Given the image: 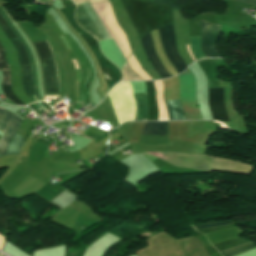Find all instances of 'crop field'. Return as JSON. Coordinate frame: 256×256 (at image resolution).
I'll return each mask as SVG.
<instances>
[{
	"mask_svg": "<svg viewBox=\"0 0 256 256\" xmlns=\"http://www.w3.org/2000/svg\"><path fill=\"white\" fill-rule=\"evenodd\" d=\"M118 123L134 120L136 104L132 96L131 82H120L108 93Z\"/></svg>",
	"mask_w": 256,
	"mask_h": 256,
	"instance_id": "obj_1",
	"label": "crop field"
},
{
	"mask_svg": "<svg viewBox=\"0 0 256 256\" xmlns=\"http://www.w3.org/2000/svg\"><path fill=\"white\" fill-rule=\"evenodd\" d=\"M180 85L181 102L187 120H201L195 100V78L189 70L178 77Z\"/></svg>",
	"mask_w": 256,
	"mask_h": 256,
	"instance_id": "obj_2",
	"label": "crop field"
},
{
	"mask_svg": "<svg viewBox=\"0 0 256 256\" xmlns=\"http://www.w3.org/2000/svg\"><path fill=\"white\" fill-rule=\"evenodd\" d=\"M82 6L86 10L90 18L92 19L93 23L95 24V26L97 27L101 35L103 36L104 40L111 39L110 34L108 33V31L106 30V28L104 27L100 19L98 18L97 14L95 13L91 5L87 2L82 4ZM82 6L80 4V5H77L76 7V13H75L76 22L83 29L91 33L98 41H102L103 40L102 36L98 32V30L96 29V27L94 26V24L92 23V21L90 20L89 16L87 15V13L85 12Z\"/></svg>",
	"mask_w": 256,
	"mask_h": 256,
	"instance_id": "obj_3",
	"label": "crop field"
},
{
	"mask_svg": "<svg viewBox=\"0 0 256 256\" xmlns=\"http://www.w3.org/2000/svg\"><path fill=\"white\" fill-rule=\"evenodd\" d=\"M160 35L161 44L163 49L169 59V61L176 68L178 73L185 70L186 65L182 57L178 54L176 50V42L173 31V25L166 26L158 30Z\"/></svg>",
	"mask_w": 256,
	"mask_h": 256,
	"instance_id": "obj_4",
	"label": "crop field"
},
{
	"mask_svg": "<svg viewBox=\"0 0 256 256\" xmlns=\"http://www.w3.org/2000/svg\"><path fill=\"white\" fill-rule=\"evenodd\" d=\"M24 120L10 113L0 109V130L6 132L2 142L0 143V155H4L9 141L13 138L18 131Z\"/></svg>",
	"mask_w": 256,
	"mask_h": 256,
	"instance_id": "obj_5",
	"label": "crop field"
},
{
	"mask_svg": "<svg viewBox=\"0 0 256 256\" xmlns=\"http://www.w3.org/2000/svg\"><path fill=\"white\" fill-rule=\"evenodd\" d=\"M201 33H202V50L208 57H220L219 53L215 49L217 39L219 37L220 25H213L201 21Z\"/></svg>",
	"mask_w": 256,
	"mask_h": 256,
	"instance_id": "obj_6",
	"label": "crop field"
},
{
	"mask_svg": "<svg viewBox=\"0 0 256 256\" xmlns=\"http://www.w3.org/2000/svg\"><path fill=\"white\" fill-rule=\"evenodd\" d=\"M208 97L213 120L228 121V115L224 103L223 88L208 90Z\"/></svg>",
	"mask_w": 256,
	"mask_h": 256,
	"instance_id": "obj_7",
	"label": "crop field"
},
{
	"mask_svg": "<svg viewBox=\"0 0 256 256\" xmlns=\"http://www.w3.org/2000/svg\"><path fill=\"white\" fill-rule=\"evenodd\" d=\"M144 50L153 66L161 78L169 77V73L166 71L160 60L158 59L154 44L151 38V34L144 35L141 39Z\"/></svg>",
	"mask_w": 256,
	"mask_h": 256,
	"instance_id": "obj_8",
	"label": "crop field"
},
{
	"mask_svg": "<svg viewBox=\"0 0 256 256\" xmlns=\"http://www.w3.org/2000/svg\"><path fill=\"white\" fill-rule=\"evenodd\" d=\"M0 70H2V76H3L2 89L5 97L11 100L16 105H25L12 92L11 84H10V76H9V67L5 62L1 48H0Z\"/></svg>",
	"mask_w": 256,
	"mask_h": 256,
	"instance_id": "obj_9",
	"label": "crop field"
},
{
	"mask_svg": "<svg viewBox=\"0 0 256 256\" xmlns=\"http://www.w3.org/2000/svg\"><path fill=\"white\" fill-rule=\"evenodd\" d=\"M141 135L166 138V122H146Z\"/></svg>",
	"mask_w": 256,
	"mask_h": 256,
	"instance_id": "obj_10",
	"label": "crop field"
},
{
	"mask_svg": "<svg viewBox=\"0 0 256 256\" xmlns=\"http://www.w3.org/2000/svg\"><path fill=\"white\" fill-rule=\"evenodd\" d=\"M134 98L137 103V113L135 120H147V94H134Z\"/></svg>",
	"mask_w": 256,
	"mask_h": 256,
	"instance_id": "obj_11",
	"label": "crop field"
},
{
	"mask_svg": "<svg viewBox=\"0 0 256 256\" xmlns=\"http://www.w3.org/2000/svg\"><path fill=\"white\" fill-rule=\"evenodd\" d=\"M170 120H185L180 100L165 101Z\"/></svg>",
	"mask_w": 256,
	"mask_h": 256,
	"instance_id": "obj_12",
	"label": "crop field"
},
{
	"mask_svg": "<svg viewBox=\"0 0 256 256\" xmlns=\"http://www.w3.org/2000/svg\"><path fill=\"white\" fill-rule=\"evenodd\" d=\"M1 10H2V8H1ZM1 10H0V12H1ZM2 11H3V10H2ZM3 13H4V12H3ZM1 14H2V12H1ZM2 15H3V14H2ZM4 15H5V14H4ZM4 15H3V17H4ZM5 17H6V19L8 20L9 24L12 26V28H13V29L16 31V33L20 36V34L17 32V30L13 27V25H12V23L10 22L9 18H8L6 15H5ZM5 17H4V18H5ZM6 19H5V20H6ZM7 20H6V22H7ZM8 22H7V24H8ZM9 24H8V25H9ZM10 25H9V27H10ZM10 28H11V27H10ZM12 28H11V29H12ZM13 29H12V31L14 32ZM14 33H15V32H14ZM16 33H15V34H16ZM17 34H16V35H17ZM18 35H17V37H18L19 40L23 43L25 49H26V46H27V49H28V51H29V53H30V49H29L28 45L26 44V42L24 41V39L20 36L21 39L25 42V44H26V46H25L24 42L20 39V37H19ZM27 49H26V52H27V55H28L29 60H30L31 53H30V56H29V53H28ZM31 60H32V63H33L34 77H35V82H36V92H37V94H38V96H39L38 88H37L36 70H35L34 61H33V59H32V56H31ZM31 60H30V63H31ZM33 70H32V64H31L32 78H33V82H34ZM35 82H34V91H35ZM36 92H35V94H36ZM37 94H36V98H37V100H39L40 96H39V98H38ZM40 99H41V98H40Z\"/></svg>",
	"mask_w": 256,
	"mask_h": 256,
	"instance_id": "obj_13",
	"label": "crop field"
},
{
	"mask_svg": "<svg viewBox=\"0 0 256 256\" xmlns=\"http://www.w3.org/2000/svg\"><path fill=\"white\" fill-rule=\"evenodd\" d=\"M253 248H256V245L253 244L252 242H248V243L221 251L220 254L223 256H232V255H237L245 250H249Z\"/></svg>",
	"mask_w": 256,
	"mask_h": 256,
	"instance_id": "obj_14",
	"label": "crop field"
},
{
	"mask_svg": "<svg viewBox=\"0 0 256 256\" xmlns=\"http://www.w3.org/2000/svg\"><path fill=\"white\" fill-rule=\"evenodd\" d=\"M24 141H25L24 138L17 133L16 136L13 138L5 155L18 154L22 148Z\"/></svg>",
	"mask_w": 256,
	"mask_h": 256,
	"instance_id": "obj_15",
	"label": "crop field"
},
{
	"mask_svg": "<svg viewBox=\"0 0 256 256\" xmlns=\"http://www.w3.org/2000/svg\"><path fill=\"white\" fill-rule=\"evenodd\" d=\"M122 73V80H142L141 77L131 69L128 62L124 65Z\"/></svg>",
	"mask_w": 256,
	"mask_h": 256,
	"instance_id": "obj_16",
	"label": "crop field"
},
{
	"mask_svg": "<svg viewBox=\"0 0 256 256\" xmlns=\"http://www.w3.org/2000/svg\"><path fill=\"white\" fill-rule=\"evenodd\" d=\"M227 224H233V221L198 225V226H195V229L200 230V229H206V228H211V227H216V226H221V225H227Z\"/></svg>",
	"mask_w": 256,
	"mask_h": 256,
	"instance_id": "obj_17",
	"label": "crop field"
},
{
	"mask_svg": "<svg viewBox=\"0 0 256 256\" xmlns=\"http://www.w3.org/2000/svg\"><path fill=\"white\" fill-rule=\"evenodd\" d=\"M155 3H159L162 5H166V6H170V7H174L178 10H180V8H178L176 5H174L172 2L168 1V0H155Z\"/></svg>",
	"mask_w": 256,
	"mask_h": 256,
	"instance_id": "obj_18",
	"label": "crop field"
},
{
	"mask_svg": "<svg viewBox=\"0 0 256 256\" xmlns=\"http://www.w3.org/2000/svg\"><path fill=\"white\" fill-rule=\"evenodd\" d=\"M73 1L77 5L79 3L86 2V1H89L90 3H93V2H104V1H107V0H73Z\"/></svg>",
	"mask_w": 256,
	"mask_h": 256,
	"instance_id": "obj_19",
	"label": "crop field"
},
{
	"mask_svg": "<svg viewBox=\"0 0 256 256\" xmlns=\"http://www.w3.org/2000/svg\"><path fill=\"white\" fill-rule=\"evenodd\" d=\"M256 6V0H238Z\"/></svg>",
	"mask_w": 256,
	"mask_h": 256,
	"instance_id": "obj_20",
	"label": "crop field"
},
{
	"mask_svg": "<svg viewBox=\"0 0 256 256\" xmlns=\"http://www.w3.org/2000/svg\"><path fill=\"white\" fill-rule=\"evenodd\" d=\"M72 61H73L74 65H75V68H78L76 60H72ZM76 71H77V81H79V70L76 69Z\"/></svg>",
	"mask_w": 256,
	"mask_h": 256,
	"instance_id": "obj_21",
	"label": "crop field"
},
{
	"mask_svg": "<svg viewBox=\"0 0 256 256\" xmlns=\"http://www.w3.org/2000/svg\"><path fill=\"white\" fill-rule=\"evenodd\" d=\"M62 39H63V41H64V43H65V45H66L67 49H69V46H68V44H67V42H66V40H65L64 36H62Z\"/></svg>",
	"mask_w": 256,
	"mask_h": 256,
	"instance_id": "obj_22",
	"label": "crop field"
},
{
	"mask_svg": "<svg viewBox=\"0 0 256 256\" xmlns=\"http://www.w3.org/2000/svg\"><path fill=\"white\" fill-rule=\"evenodd\" d=\"M187 50H188L189 54L191 55V57L194 59V57H193V55H192L190 49H187ZM194 61H195V59H194Z\"/></svg>",
	"mask_w": 256,
	"mask_h": 256,
	"instance_id": "obj_23",
	"label": "crop field"
},
{
	"mask_svg": "<svg viewBox=\"0 0 256 256\" xmlns=\"http://www.w3.org/2000/svg\"><path fill=\"white\" fill-rule=\"evenodd\" d=\"M34 98H35V95H34ZM35 100H36V98H35ZM37 101V100H36Z\"/></svg>",
	"mask_w": 256,
	"mask_h": 256,
	"instance_id": "obj_24",
	"label": "crop field"
}]
</instances>
